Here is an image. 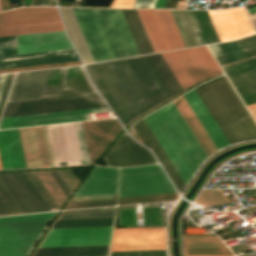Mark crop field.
Returning <instances> with one entry per match:
<instances>
[{
	"mask_svg": "<svg viewBox=\"0 0 256 256\" xmlns=\"http://www.w3.org/2000/svg\"><path fill=\"white\" fill-rule=\"evenodd\" d=\"M71 9L95 62L140 55L120 9Z\"/></svg>",
	"mask_w": 256,
	"mask_h": 256,
	"instance_id": "crop-field-1",
	"label": "crop field"
},
{
	"mask_svg": "<svg viewBox=\"0 0 256 256\" xmlns=\"http://www.w3.org/2000/svg\"><path fill=\"white\" fill-rule=\"evenodd\" d=\"M143 119L187 185L207 156L173 102Z\"/></svg>",
	"mask_w": 256,
	"mask_h": 256,
	"instance_id": "crop-field-2",
	"label": "crop field"
},
{
	"mask_svg": "<svg viewBox=\"0 0 256 256\" xmlns=\"http://www.w3.org/2000/svg\"><path fill=\"white\" fill-rule=\"evenodd\" d=\"M96 92L81 66L16 73L7 102Z\"/></svg>",
	"mask_w": 256,
	"mask_h": 256,
	"instance_id": "crop-field-3",
	"label": "crop field"
},
{
	"mask_svg": "<svg viewBox=\"0 0 256 256\" xmlns=\"http://www.w3.org/2000/svg\"><path fill=\"white\" fill-rule=\"evenodd\" d=\"M4 64L77 56L65 31L2 37ZM79 61L77 57L4 65V69Z\"/></svg>",
	"mask_w": 256,
	"mask_h": 256,
	"instance_id": "crop-field-4",
	"label": "crop field"
},
{
	"mask_svg": "<svg viewBox=\"0 0 256 256\" xmlns=\"http://www.w3.org/2000/svg\"><path fill=\"white\" fill-rule=\"evenodd\" d=\"M127 61L155 105L183 90L160 53L128 58Z\"/></svg>",
	"mask_w": 256,
	"mask_h": 256,
	"instance_id": "crop-field-5",
	"label": "crop field"
},
{
	"mask_svg": "<svg viewBox=\"0 0 256 256\" xmlns=\"http://www.w3.org/2000/svg\"><path fill=\"white\" fill-rule=\"evenodd\" d=\"M64 30L56 8H19L0 13V36Z\"/></svg>",
	"mask_w": 256,
	"mask_h": 256,
	"instance_id": "crop-field-6",
	"label": "crop field"
},
{
	"mask_svg": "<svg viewBox=\"0 0 256 256\" xmlns=\"http://www.w3.org/2000/svg\"><path fill=\"white\" fill-rule=\"evenodd\" d=\"M184 88L221 70L205 46L161 53Z\"/></svg>",
	"mask_w": 256,
	"mask_h": 256,
	"instance_id": "crop-field-7",
	"label": "crop field"
},
{
	"mask_svg": "<svg viewBox=\"0 0 256 256\" xmlns=\"http://www.w3.org/2000/svg\"><path fill=\"white\" fill-rule=\"evenodd\" d=\"M166 249L165 227L114 229L110 251ZM109 256H167L166 250L110 252Z\"/></svg>",
	"mask_w": 256,
	"mask_h": 256,
	"instance_id": "crop-field-8",
	"label": "crop field"
},
{
	"mask_svg": "<svg viewBox=\"0 0 256 256\" xmlns=\"http://www.w3.org/2000/svg\"><path fill=\"white\" fill-rule=\"evenodd\" d=\"M175 192L158 164L121 168L118 197Z\"/></svg>",
	"mask_w": 256,
	"mask_h": 256,
	"instance_id": "crop-field-9",
	"label": "crop field"
},
{
	"mask_svg": "<svg viewBox=\"0 0 256 256\" xmlns=\"http://www.w3.org/2000/svg\"><path fill=\"white\" fill-rule=\"evenodd\" d=\"M50 221L0 224V256H27Z\"/></svg>",
	"mask_w": 256,
	"mask_h": 256,
	"instance_id": "crop-field-10",
	"label": "crop field"
},
{
	"mask_svg": "<svg viewBox=\"0 0 256 256\" xmlns=\"http://www.w3.org/2000/svg\"><path fill=\"white\" fill-rule=\"evenodd\" d=\"M136 10L155 52L185 47L169 10Z\"/></svg>",
	"mask_w": 256,
	"mask_h": 256,
	"instance_id": "crop-field-11",
	"label": "crop field"
},
{
	"mask_svg": "<svg viewBox=\"0 0 256 256\" xmlns=\"http://www.w3.org/2000/svg\"><path fill=\"white\" fill-rule=\"evenodd\" d=\"M112 227L50 229L39 247L109 245Z\"/></svg>",
	"mask_w": 256,
	"mask_h": 256,
	"instance_id": "crop-field-12",
	"label": "crop field"
},
{
	"mask_svg": "<svg viewBox=\"0 0 256 256\" xmlns=\"http://www.w3.org/2000/svg\"><path fill=\"white\" fill-rule=\"evenodd\" d=\"M0 179L22 213L48 210L24 172L2 173Z\"/></svg>",
	"mask_w": 256,
	"mask_h": 256,
	"instance_id": "crop-field-13",
	"label": "crop field"
},
{
	"mask_svg": "<svg viewBox=\"0 0 256 256\" xmlns=\"http://www.w3.org/2000/svg\"><path fill=\"white\" fill-rule=\"evenodd\" d=\"M207 12L221 41L254 33L243 7Z\"/></svg>",
	"mask_w": 256,
	"mask_h": 256,
	"instance_id": "crop-field-14",
	"label": "crop field"
},
{
	"mask_svg": "<svg viewBox=\"0 0 256 256\" xmlns=\"http://www.w3.org/2000/svg\"><path fill=\"white\" fill-rule=\"evenodd\" d=\"M19 131L27 168L53 166L44 126Z\"/></svg>",
	"mask_w": 256,
	"mask_h": 256,
	"instance_id": "crop-field-15",
	"label": "crop field"
},
{
	"mask_svg": "<svg viewBox=\"0 0 256 256\" xmlns=\"http://www.w3.org/2000/svg\"><path fill=\"white\" fill-rule=\"evenodd\" d=\"M245 106L256 103V57L222 67Z\"/></svg>",
	"mask_w": 256,
	"mask_h": 256,
	"instance_id": "crop-field-16",
	"label": "crop field"
},
{
	"mask_svg": "<svg viewBox=\"0 0 256 256\" xmlns=\"http://www.w3.org/2000/svg\"><path fill=\"white\" fill-rule=\"evenodd\" d=\"M104 160L107 166L113 167L138 166L157 163L149 151L138 145L126 133L117 142Z\"/></svg>",
	"mask_w": 256,
	"mask_h": 256,
	"instance_id": "crop-field-17",
	"label": "crop field"
},
{
	"mask_svg": "<svg viewBox=\"0 0 256 256\" xmlns=\"http://www.w3.org/2000/svg\"><path fill=\"white\" fill-rule=\"evenodd\" d=\"M90 162L93 163L122 127L116 119L82 122Z\"/></svg>",
	"mask_w": 256,
	"mask_h": 256,
	"instance_id": "crop-field-18",
	"label": "crop field"
},
{
	"mask_svg": "<svg viewBox=\"0 0 256 256\" xmlns=\"http://www.w3.org/2000/svg\"><path fill=\"white\" fill-rule=\"evenodd\" d=\"M105 111L103 107L76 111L6 117L1 119L0 129L30 125L89 120L87 113Z\"/></svg>",
	"mask_w": 256,
	"mask_h": 256,
	"instance_id": "crop-field-19",
	"label": "crop field"
},
{
	"mask_svg": "<svg viewBox=\"0 0 256 256\" xmlns=\"http://www.w3.org/2000/svg\"><path fill=\"white\" fill-rule=\"evenodd\" d=\"M207 46L214 54L219 65H223L256 55V35L237 41L211 44Z\"/></svg>",
	"mask_w": 256,
	"mask_h": 256,
	"instance_id": "crop-field-20",
	"label": "crop field"
},
{
	"mask_svg": "<svg viewBox=\"0 0 256 256\" xmlns=\"http://www.w3.org/2000/svg\"><path fill=\"white\" fill-rule=\"evenodd\" d=\"M119 169L97 166L74 197L116 193Z\"/></svg>",
	"mask_w": 256,
	"mask_h": 256,
	"instance_id": "crop-field-21",
	"label": "crop field"
},
{
	"mask_svg": "<svg viewBox=\"0 0 256 256\" xmlns=\"http://www.w3.org/2000/svg\"><path fill=\"white\" fill-rule=\"evenodd\" d=\"M183 96L193 112L198 117L201 125L207 132L217 150L230 145L195 89L191 90Z\"/></svg>",
	"mask_w": 256,
	"mask_h": 256,
	"instance_id": "crop-field-22",
	"label": "crop field"
},
{
	"mask_svg": "<svg viewBox=\"0 0 256 256\" xmlns=\"http://www.w3.org/2000/svg\"><path fill=\"white\" fill-rule=\"evenodd\" d=\"M0 159L3 169L26 168L19 131H0Z\"/></svg>",
	"mask_w": 256,
	"mask_h": 256,
	"instance_id": "crop-field-23",
	"label": "crop field"
},
{
	"mask_svg": "<svg viewBox=\"0 0 256 256\" xmlns=\"http://www.w3.org/2000/svg\"><path fill=\"white\" fill-rule=\"evenodd\" d=\"M186 47L205 44L190 10H170Z\"/></svg>",
	"mask_w": 256,
	"mask_h": 256,
	"instance_id": "crop-field-24",
	"label": "crop field"
},
{
	"mask_svg": "<svg viewBox=\"0 0 256 256\" xmlns=\"http://www.w3.org/2000/svg\"><path fill=\"white\" fill-rule=\"evenodd\" d=\"M109 246L37 248L33 256L108 255Z\"/></svg>",
	"mask_w": 256,
	"mask_h": 256,
	"instance_id": "crop-field-25",
	"label": "crop field"
},
{
	"mask_svg": "<svg viewBox=\"0 0 256 256\" xmlns=\"http://www.w3.org/2000/svg\"><path fill=\"white\" fill-rule=\"evenodd\" d=\"M132 36L141 55L153 53V49L144 31L141 21L135 9H121Z\"/></svg>",
	"mask_w": 256,
	"mask_h": 256,
	"instance_id": "crop-field-26",
	"label": "crop field"
},
{
	"mask_svg": "<svg viewBox=\"0 0 256 256\" xmlns=\"http://www.w3.org/2000/svg\"><path fill=\"white\" fill-rule=\"evenodd\" d=\"M116 205V194L71 198L64 209Z\"/></svg>",
	"mask_w": 256,
	"mask_h": 256,
	"instance_id": "crop-field-27",
	"label": "crop field"
},
{
	"mask_svg": "<svg viewBox=\"0 0 256 256\" xmlns=\"http://www.w3.org/2000/svg\"><path fill=\"white\" fill-rule=\"evenodd\" d=\"M185 248H226L216 235H183Z\"/></svg>",
	"mask_w": 256,
	"mask_h": 256,
	"instance_id": "crop-field-28",
	"label": "crop field"
},
{
	"mask_svg": "<svg viewBox=\"0 0 256 256\" xmlns=\"http://www.w3.org/2000/svg\"><path fill=\"white\" fill-rule=\"evenodd\" d=\"M229 199L221 189L202 190L194 203L206 207L229 203Z\"/></svg>",
	"mask_w": 256,
	"mask_h": 256,
	"instance_id": "crop-field-29",
	"label": "crop field"
},
{
	"mask_svg": "<svg viewBox=\"0 0 256 256\" xmlns=\"http://www.w3.org/2000/svg\"><path fill=\"white\" fill-rule=\"evenodd\" d=\"M36 174L60 208L66 197L49 173V171L36 172Z\"/></svg>",
	"mask_w": 256,
	"mask_h": 256,
	"instance_id": "crop-field-30",
	"label": "crop field"
},
{
	"mask_svg": "<svg viewBox=\"0 0 256 256\" xmlns=\"http://www.w3.org/2000/svg\"><path fill=\"white\" fill-rule=\"evenodd\" d=\"M177 101L180 103V105L184 109L185 113L187 114L188 118L190 119V121L192 122L194 127L196 128L197 132L201 136L202 140L204 141V143L208 147V149L211 152V154L214 153L215 151H217L216 148L214 147V145L212 144V142L210 141L209 137L207 136V134L205 133V131L201 127L199 121L197 120V118L193 114L192 110L190 109V107L186 103V101L183 98V96L177 98Z\"/></svg>",
	"mask_w": 256,
	"mask_h": 256,
	"instance_id": "crop-field-31",
	"label": "crop field"
},
{
	"mask_svg": "<svg viewBox=\"0 0 256 256\" xmlns=\"http://www.w3.org/2000/svg\"><path fill=\"white\" fill-rule=\"evenodd\" d=\"M177 197H178L177 193L135 196V197H123V198H118V204L167 201V200H175V199H177Z\"/></svg>",
	"mask_w": 256,
	"mask_h": 256,
	"instance_id": "crop-field-32",
	"label": "crop field"
},
{
	"mask_svg": "<svg viewBox=\"0 0 256 256\" xmlns=\"http://www.w3.org/2000/svg\"><path fill=\"white\" fill-rule=\"evenodd\" d=\"M21 213L9 193L0 182V215Z\"/></svg>",
	"mask_w": 256,
	"mask_h": 256,
	"instance_id": "crop-field-33",
	"label": "crop field"
},
{
	"mask_svg": "<svg viewBox=\"0 0 256 256\" xmlns=\"http://www.w3.org/2000/svg\"><path fill=\"white\" fill-rule=\"evenodd\" d=\"M54 214H55V212L31 214V215H20V216H10V217H0V223L13 222V221L36 220V219H47V218H53Z\"/></svg>",
	"mask_w": 256,
	"mask_h": 256,
	"instance_id": "crop-field-34",
	"label": "crop field"
},
{
	"mask_svg": "<svg viewBox=\"0 0 256 256\" xmlns=\"http://www.w3.org/2000/svg\"><path fill=\"white\" fill-rule=\"evenodd\" d=\"M115 212L60 214L58 219L114 217Z\"/></svg>",
	"mask_w": 256,
	"mask_h": 256,
	"instance_id": "crop-field-35",
	"label": "crop field"
},
{
	"mask_svg": "<svg viewBox=\"0 0 256 256\" xmlns=\"http://www.w3.org/2000/svg\"><path fill=\"white\" fill-rule=\"evenodd\" d=\"M186 255L232 254L228 249H185Z\"/></svg>",
	"mask_w": 256,
	"mask_h": 256,
	"instance_id": "crop-field-36",
	"label": "crop field"
},
{
	"mask_svg": "<svg viewBox=\"0 0 256 256\" xmlns=\"http://www.w3.org/2000/svg\"><path fill=\"white\" fill-rule=\"evenodd\" d=\"M174 104L176 105V107L178 108V110L180 111L181 115L183 116V118L185 119V121L187 122V124L189 125L190 129L192 130L193 134L195 135V137L197 138V140L199 141L200 145L202 146V148L204 149L205 153L208 155H210V152L208 151L207 147L205 146V144L203 143V141L201 140V138L199 137L198 133L196 132V130L194 129V127L192 126L191 122L189 121V119L187 118V116L185 115V113L183 112L182 108L180 107V105L178 104V102L176 101V99L173 101Z\"/></svg>",
	"mask_w": 256,
	"mask_h": 256,
	"instance_id": "crop-field-37",
	"label": "crop field"
},
{
	"mask_svg": "<svg viewBox=\"0 0 256 256\" xmlns=\"http://www.w3.org/2000/svg\"><path fill=\"white\" fill-rule=\"evenodd\" d=\"M59 173L61 174V176L63 177V179L65 180V182L67 183V185L72 191L73 188L79 182L76 176L74 175V173L72 172V170L59 171Z\"/></svg>",
	"mask_w": 256,
	"mask_h": 256,
	"instance_id": "crop-field-38",
	"label": "crop field"
},
{
	"mask_svg": "<svg viewBox=\"0 0 256 256\" xmlns=\"http://www.w3.org/2000/svg\"><path fill=\"white\" fill-rule=\"evenodd\" d=\"M50 173L52 174V176L54 177V179L56 180V182L58 183V185L67 197L71 191L62 179V177L60 176V174L58 173V171H50Z\"/></svg>",
	"mask_w": 256,
	"mask_h": 256,
	"instance_id": "crop-field-39",
	"label": "crop field"
},
{
	"mask_svg": "<svg viewBox=\"0 0 256 256\" xmlns=\"http://www.w3.org/2000/svg\"><path fill=\"white\" fill-rule=\"evenodd\" d=\"M10 74L11 73L0 74V107H1V103L3 100L4 94H5V90H6L8 81H9Z\"/></svg>",
	"mask_w": 256,
	"mask_h": 256,
	"instance_id": "crop-field-40",
	"label": "crop field"
},
{
	"mask_svg": "<svg viewBox=\"0 0 256 256\" xmlns=\"http://www.w3.org/2000/svg\"><path fill=\"white\" fill-rule=\"evenodd\" d=\"M155 0H134L132 8H153Z\"/></svg>",
	"mask_w": 256,
	"mask_h": 256,
	"instance_id": "crop-field-41",
	"label": "crop field"
},
{
	"mask_svg": "<svg viewBox=\"0 0 256 256\" xmlns=\"http://www.w3.org/2000/svg\"><path fill=\"white\" fill-rule=\"evenodd\" d=\"M133 0H114L111 7L131 8Z\"/></svg>",
	"mask_w": 256,
	"mask_h": 256,
	"instance_id": "crop-field-42",
	"label": "crop field"
},
{
	"mask_svg": "<svg viewBox=\"0 0 256 256\" xmlns=\"http://www.w3.org/2000/svg\"><path fill=\"white\" fill-rule=\"evenodd\" d=\"M51 0H34L31 6H50Z\"/></svg>",
	"mask_w": 256,
	"mask_h": 256,
	"instance_id": "crop-field-43",
	"label": "crop field"
},
{
	"mask_svg": "<svg viewBox=\"0 0 256 256\" xmlns=\"http://www.w3.org/2000/svg\"><path fill=\"white\" fill-rule=\"evenodd\" d=\"M247 109L249 110L250 114L252 115V117L256 121V104L251 105V106H247Z\"/></svg>",
	"mask_w": 256,
	"mask_h": 256,
	"instance_id": "crop-field-44",
	"label": "crop field"
},
{
	"mask_svg": "<svg viewBox=\"0 0 256 256\" xmlns=\"http://www.w3.org/2000/svg\"><path fill=\"white\" fill-rule=\"evenodd\" d=\"M133 129L135 130V132L137 133V135L140 137V139L142 140V142L144 143L145 146H148V143L146 142V140L144 139V137L142 136V134L139 132V130L137 129V127L135 126V124L132 126Z\"/></svg>",
	"mask_w": 256,
	"mask_h": 256,
	"instance_id": "crop-field-45",
	"label": "crop field"
},
{
	"mask_svg": "<svg viewBox=\"0 0 256 256\" xmlns=\"http://www.w3.org/2000/svg\"><path fill=\"white\" fill-rule=\"evenodd\" d=\"M166 0H156L154 8H164Z\"/></svg>",
	"mask_w": 256,
	"mask_h": 256,
	"instance_id": "crop-field-46",
	"label": "crop field"
},
{
	"mask_svg": "<svg viewBox=\"0 0 256 256\" xmlns=\"http://www.w3.org/2000/svg\"><path fill=\"white\" fill-rule=\"evenodd\" d=\"M247 11H248L249 14H250V13H254V12H256V7H255V8H252V9H248Z\"/></svg>",
	"mask_w": 256,
	"mask_h": 256,
	"instance_id": "crop-field-47",
	"label": "crop field"
},
{
	"mask_svg": "<svg viewBox=\"0 0 256 256\" xmlns=\"http://www.w3.org/2000/svg\"><path fill=\"white\" fill-rule=\"evenodd\" d=\"M210 256H234V255H210Z\"/></svg>",
	"mask_w": 256,
	"mask_h": 256,
	"instance_id": "crop-field-48",
	"label": "crop field"
},
{
	"mask_svg": "<svg viewBox=\"0 0 256 256\" xmlns=\"http://www.w3.org/2000/svg\"><path fill=\"white\" fill-rule=\"evenodd\" d=\"M0 169H2V167H1V163H0Z\"/></svg>",
	"mask_w": 256,
	"mask_h": 256,
	"instance_id": "crop-field-49",
	"label": "crop field"
},
{
	"mask_svg": "<svg viewBox=\"0 0 256 256\" xmlns=\"http://www.w3.org/2000/svg\"><path fill=\"white\" fill-rule=\"evenodd\" d=\"M0 11H1V7H0Z\"/></svg>",
	"mask_w": 256,
	"mask_h": 256,
	"instance_id": "crop-field-50",
	"label": "crop field"
}]
</instances>
